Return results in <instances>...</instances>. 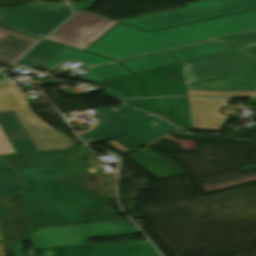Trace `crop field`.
<instances>
[{
	"mask_svg": "<svg viewBox=\"0 0 256 256\" xmlns=\"http://www.w3.org/2000/svg\"><path fill=\"white\" fill-rule=\"evenodd\" d=\"M95 156L84 145L72 149L5 156L15 167L23 191L0 200V229L5 242L29 240L30 227L120 219L108 206L114 198V174L103 164L89 166ZM13 202L5 206V202Z\"/></svg>",
	"mask_w": 256,
	"mask_h": 256,
	"instance_id": "8a807250",
	"label": "crop field"
},
{
	"mask_svg": "<svg viewBox=\"0 0 256 256\" xmlns=\"http://www.w3.org/2000/svg\"><path fill=\"white\" fill-rule=\"evenodd\" d=\"M253 28H256V11L151 33L119 24L87 51L118 60Z\"/></svg>",
	"mask_w": 256,
	"mask_h": 256,
	"instance_id": "ac0d7876",
	"label": "crop field"
},
{
	"mask_svg": "<svg viewBox=\"0 0 256 256\" xmlns=\"http://www.w3.org/2000/svg\"><path fill=\"white\" fill-rule=\"evenodd\" d=\"M35 104V99L13 84L0 86V154L67 147L75 143L37 118L29 108Z\"/></svg>",
	"mask_w": 256,
	"mask_h": 256,
	"instance_id": "34b2d1b8",
	"label": "crop field"
},
{
	"mask_svg": "<svg viewBox=\"0 0 256 256\" xmlns=\"http://www.w3.org/2000/svg\"><path fill=\"white\" fill-rule=\"evenodd\" d=\"M95 117L101 120L93 130L79 134L86 143L114 139L128 133L143 144L179 130L148 113L131 109L125 105L94 109ZM158 122L153 124V122Z\"/></svg>",
	"mask_w": 256,
	"mask_h": 256,
	"instance_id": "412701ff",
	"label": "crop field"
},
{
	"mask_svg": "<svg viewBox=\"0 0 256 256\" xmlns=\"http://www.w3.org/2000/svg\"><path fill=\"white\" fill-rule=\"evenodd\" d=\"M186 6L187 7L184 8L127 19L122 22L151 31L230 13L256 9V0H202L188 3Z\"/></svg>",
	"mask_w": 256,
	"mask_h": 256,
	"instance_id": "f4fd0767",
	"label": "crop field"
},
{
	"mask_svg": "<svg viewBox=\"0 0 256 256\" xmlns=\"http://www.w3.org/2000/svg\"><path fill=\"white\" fill-rule=\"evenodd\" d=\"M184 83L256 71V45L181 62Z\"/></svg>",
	"mask_w": 256,
	"mask_h": 256,
	"instance_id": "dd49c442",
	"label": "crop field"
},
{
	"mask_svg": "<svg viewBox=\"0 0 256 256\" xmlns=\"http://www.w3.org/2000/svg\"><path fill=\"white\" fill-rule=\"evenodd\" d=\"M71 13L64 3L35 0L16 8H0V25L41 37Z\"/></svg>",
	"mask_w": 256,
	"mask_h": 256,
	"instance_id": "e52e79f7",
	"label": "crop field"
},
{
	"mask_svg": "<svg viewBox=\"0 0 256 256\" xmlns=\"http://www.w3.org/2000/svg\"><path fill=\"white\" fill-rule=\"evenodd\" d=\"M139 233L126 221L38 229L29 237L31 247L88 243V238Z\"/></svg>",
	"mask_w": 256,
	"mask_h": 256,
	"instance_id": "d8731c3e",
	"label": "crop field"
},
{
	"mask_svg": "<svg viewBox=\"0 0 256 256\" xmlns=\"http://www.w3.org/2000/svg\"><path fill=\"white\" fill-rule=\"evenodd\" d=\"M118 22L79 11L46 39L84 50Z\"/></svg>",
	"mask_w": 256,
	"mask_h": 256,
	"instance_id": "5a996713",
	"label": "crop field"
},
{
	"mask_svg": "<svg viewBox=\"0 0 256 256\" xmlns=\"http://www.w3.org/2000/svg\"><path fill=\"white\" fill-rule=\"evenodd\" d=\"M156 253L147 240L97 243L43 249L31 248L27 256H150Z\"/></svg>",
	"mask_w": 256,
	"mask_h": 256,
	"instance_id": "3316defc",
	"label": "crop field"
},
{
	"mask_svg": "<svg viewBox=\"0 0 256 256\" xmlns=\"http://www.w3.org/2000/svg\"><path fill=\"white\" fill-rule=\"evenodd\" d=\"M134 75L144 83L146 97L184 95L179 63Z\"/></svg>",
	"mask_w": 256,
	"mask_h": 256,
	"instance_id": "28ad6ade",
	"label": "crop field"
},
{
	"mask_svg": "<svg viewBox=\"0 0 256 256\" xmlns=\"http://www.w3.org/2000/svg\"><path fill=\"white\" fill-rule=\"evenodd\" d=\"M123 102L154 113L183 129H191L185 97L123 100Z\"/></svg>",
	"mask_w": 256,
	"mask_h": 256,
	"instance_id": "d1516ede",
	"label": "crop field"
},
{
	"mask_svg": "<svg viewBox=\"0 0 256 256\" xmlns=\"http://www.w3.org/2000/svg\"><path fill=\"white\" fill-rule=\"evenodd\" d=\"M230 99H208L188 97L193 129L219 131L228 117L219 114L220 109Z\"/></svg>",
	"mask_w": 256,
	"mask_h": 256,
	"instance_id": "22f410ed",
	"label": "crop field"
},
{
	"mask_svg": "<svg viewBox=\"0 0 256 256\" xmlns=\"http://www.w3.org/2000/svg\"><path fill=\"white\" fill-rule=\"evenodd\" d=\"M126 158L156 179L182 174L179 166L159 156L147 147Z\"/></svg>",
	"mask_w": 256,
	"mask_h": 256,
	"instance_id": "cbeb9de0",
	"label": "crop field"
},
{
	"mask_svg": "<svg viewBox=\"0 0 256 256\" xmlns=\"http://www.w3.org/2000/svg\"><path fill=\"white\" fill-rule=\"evenodd\" d=\"M187 90H239L256 91V72L229 77L223 80L186 86Z\"/></svg>",
	"mask_w": 256,
	"mask_h": 256,
	"instance_id": "5142ce71",
	"label": "crop field"
},
{
	"mask_svg": "<svg viewBox=\"0 0 256 256\" xmlns=\"http://www.w3.org/2000/svg\"><path fill=\"white\" fill-rule=\"evenodd\" d=\"M8 33L0 39V60L14 61L38 39L0 28ZM34 45V44H33Z\"/></svg>",
	"mask_w": 256,
	"mask_h": 256,
	"instance_id": "d9b57169",
	"label": "crop field"
},
{
	"mask_svg": "<svg viewBox=\"0 0 256 256\" xmlns=\"http://www.w3.org/2000/svg\"><path fill=\"white\" fill-rule=\"evenodd\" d=\"M95 84L115 97H143L140 83L132 74L95 82Z\"/></svg>",
	"mask_w": 256,
	"mask_h": 256,
	"instance_id": "733c2abd",
	"label": "crop field"
},
{
	"mask_svg": "<svg viewBox=\"0 0 256 256\" xmlns=\"http://www.w3.org/2000/svg\"><path fill=\"white\" fill-rule=\"evenodd\" d=\"M63 47V45L42 40L30 52L21 58L18 64L29 68L41 67Z\"/></svg>",
	"mask_w": 256,
	"mask_h": 256,
	"instance_id": "4a817a6b",
	"label": "crop field"
},
{
	"mask_svg": "<svg viewBox=\"0 0 256 256\" xmlns=\"http://www.w3.org/2000/svg\"><path fill=\"white\" fill-rule=\"evenodd\" d=\"M69 58L83 62V67L113 61L110 59H106L103 57L95 56L92 54L64 47L58 54H56L41 68L46 70H52L53 68H55L56 66H58L59 64H61Z\"/></svg>",
	"mask_w": 256,
	"mask_h": 256,
	"instance_id": "bc2a9ffb",
	"label": "crop field"
},
{
	"mask_svg": "<svg viewBox=\"0 0 256 256\" xmlns=\"http://www.w3.org/2000/svg\"><path fill=\"white\" fill-rule=\"evenodd\" d=\"M19 174L11 165L0 159V199L21 191Z\"/></svg>",
	"mask_w": 256,
	"mask_h": 256,
	"instance_id": "214f88e0",
	"label": "crop field"
},
{
	"mask_svg": "<svg viewBox=\"0 0 256 256\" xmlns=\"http://www.w3.org/2000/svg\"><path fill=\"white\" fill-rule=\"evenodd\" d=\"M178 62L167 52L146 56L134 60L123 61L122 63L127 66L133 73L156 68L172 63Z\"/></svg>",
	"mask_w": 256,
	"mask_h": 256,
	"instance_id": "92a150f3",
	"label": "crop field"
},
{
	"mask_svg": "<svg viewBox=\"0 0 256 256\" xmlns=\"http://www.w3.org/2000/svg\"><path fill=\"white\" fill-rule=\"evenodd\" d=\"M168 51L173 54L177 59L183 61L212 53L222 52L223 50L213 41H209L200 44L171 49Z\"/></svg>",
	"mask_w": 256,
	"mask_h": 256,
	"instance_id": "dafd665d",
	"label": "crop field"
},
{
	"mask_svg": "<svg viewBox=\"0 0 256 256\" xmlns=\"http://www.w3.org/2000/svg\"><path fill=\"white\" fill-rule=\"evenodd\" d=\"M90 72L85 73L84 76L80 77L84 80L95 82L107 78H112L116 76H121L129 74L130 72L125 69L118 62L105 64L97 67L88 68Z\"/></svg>",
	"mask_w": 256,
	"mask_h": 256,
	"instance_id": "00972430",
	"label": "crop field"
},
{
	"mask_svg": "<svg viewBox=\"0 0 256 256\" xmlns=\"http://www.w3.org/2000/svg\"><path fill=\"white\" fill-rule=\"evenodd\" d=\"M214 42L224 51L256 44V30L215 39Z\"/></svg>",
	"mask_w": 256,
	"mask_h": 256,
	"instance_id": "a9b5d70f",
	"label": "crop field"
},
{
	"mask_svg": "<svg viewBox=\"0 0 256 256\" xmlns=\"http://www.w3.org/2000/svg\"><path fill=\"white\" fill-rule=\"evenodd\" d=\"M187 95L211 96V97H252L256 92H238V91H187Z\"/></svg>",
	"mask_w": 256,
	"mask_h": 256,
	"instance_id": "4177f3b9",
	"label": "crop field"
},
{
	"mask_svg": "<svg viewBox=\"0 0 256 256\" xmlns=\"http://www.w3.org/2000/svg\"><path fill=\"white\" fill-rule=\"evenodd\" d=\"M107 143L118 151L122 150L126 155L132 152L133 150L143 146L141 143L134 140L128 135L114 141H109Z\"/></svg>",
	"mask_w": 256,
	"mask_h": 256,
	"instance_id": "730fd06b",
	"label": "crop field"
},
{
	"mask_svg": "<svg viewBox=\"0 0 256 256\" xmlns=\"http://www.w3.org/2000/svg\"><path fill=\"white\" fill-rule=\"evenodd\" d=\"M96 0H84L83 2H69L70 5L75 9H89Z\"/></svg>",
	"mask_w": 256,
	"mask_h": 256,
	"instance_id": "eef30255",
	"label": "crop field"
},
{
	"mask_svg": "<svg viewBox=\"0 0 256 256\" xmlns=\"http://www.w3.org/2000/svg\"><path fill=\"white\" fill-rule=\"evenodd\" d=\"M167 138L172 141L180 143L182 149L195 150L194 141H181V140H177L171 136H169Z\"/></svg>",
	"mask_w": 256,
	"mask_h": 256,
	"instance_id": "ae1a2a85",
	"label": "crop field"
},
{
	"mask_svg": "<svg viewBox=\"0 0 256 256\" xmlns=\"http://www.w3.org/2000/svg\"><path fill=\"white\" fill-rule=\"evenodd\" d=\"M31 79H35V80H43V81H49V82H57V81H54V80H51V79H44V78H33V77H29Z\"/></svg>",
	"mask_w": 256,
	"mask_h": 256,
	"instance_id": "d3111659",
	"label": "crop field"
},
{
	"mask_svg": "<svg viewBox=\"0 0 256 256\" xmlns=\"http://www.w3.org/2000/svg\"><path fill=\"white\" fill-rule=\"evenodd\" d=\"M0 256H6L5 251L3 249V245L0 243Z\"/></svg>",
	"mask_w": 256,
	"mask_h": 256,
	"instance_id": "750c4746",
	"label": "crop field"
},
{
	"mask_svg": "<svg viewBox=\"0 0 256 256\" xmlns=\"http://www.w3.org/2000/svg\"><path fill=\"white\" fill-rule=\"evenodd\" d=\"M252 168H256V165L255 166H251V167H247V168H243L241 170L244 171V170H248V169H252Z\"/></svg>",
	"mask_w": 256,
	"mask_h": 256,
	"instance_id": "bd1437ed",
	"label": "crop field"
},
{
	"mask_svg": "<svg viewBox=\"0 0 256 256\" xmlns=\"http://www.w3.org/2000/svg\"><path fill=\"white\" fill-rule=\"evenodd\" d=\"M5 82H8V81L6 80V78H5V79L0 80V83H5Z\"/></svg>",
	"mask_w": 256,
	"mask_h": 256,
	"instance_id": "1d83c4d3",
	"label": "crop field"
},
{
	"mask_svg": "<svg viewBox=\"0 0 256 256\" xmlns=\"http://www.w3.org/2000/svg\"><path fill=\"white\" fill-rule=\"evenodd\" d=\"M152 256H160L158 253H156V254H154V255H152Z\"/></svg>",
	"mask_w": 256,
	"mask_h": 256,
	"instance_id": "120bbe31",
	"label": "crop field"
},
{
	"mask_svg": "<svg viewBox=\"0 0 256 256\" xmlns=\"http://www.w3.org/2000/svg\"><path fill=\"white\" fill-rule=\"evenodd\" d=\"M3 78L1 75H0V79Z\"/></svg>",
	"mask_w": 256,
	"mask_h": 256,
	"instance_id": "d32e631a",
	"label": "crop field"
}]
</instances>
